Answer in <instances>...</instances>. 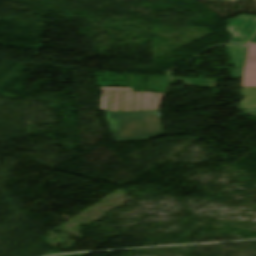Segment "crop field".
Listing matches in <instances>:
<instances>
[{"label":"crop field","instance_id":"8a807250","mask_svg":"<svg viewBox=\"0 0 256 256\" xmlns=\"http://www.w3.org/2000/svg\"><path fill=\"white\" fill-rule=\"evenodd\" d=\"M105 116L117 142L148 140L165 134L159 111L105 113Z\"/></svg>","mask_w":256,"mask_h":256},{"label":"crop field","instance_id":"ac0d7876","mask_svg":"<svg viewBox=\"0 0 256 256\" xmlns=\"http://www.w3.org/2000/svg\"><path fill=\"white\" fill-rule=\"evenodd\" d=\"M100 110L136 112L159 110L164 93L134 92L132 88L100 87ZM116 92V93H113Z\"/></svg>","mask_w":256,"mask_h":256},{"label":"crop field","instance_id":"34b2d1b8","mask_svg":"<svg viewBox=\"0 0 256 256\" xmlns=\"http://www.w3.org/2000/svg\"><path fill=\"white\" fill-rule=\"evenodd\" d=\"M227 30L233 36L229 40L232 45H244L249 37L256 31V16L241 15L227 22Z\"/></svg>","mask_w":256,"mask_h":256},{"label":"crop field","instance_id":"412701ff","mask_svg":"<svg viewBox=\"0 0 256 256\" xmlns=\"http://www.w3.org/2000/svg\"><path fill=\"white\" fill-rule=\"evenodd\" d=\"M242 87H256V44L250 43Z\"/></svg>","mask_w":256,"mask_h":256},{"label":"crop field","instance_id":"f4fd0767","mask_svg":"<svg viewBox=\"0 0 256 256\" xmlns=\"http://www.w3.org/2000/svg\"><path fill=\"white\" fill-rule=\"evenodd\" d=\"M226 48L236 68V70L232 71L230 75L234 78L241 79L246 48L234 46H226Z\"/></svg>","mask_w":256,"mask_h":256},{"label":"crop field","instance_id":"dd49c442","mask_svg":"<svg viewBox=\"0 0 256 256\" xmlns=\"http://www.w3.org/2000/svg\"><path fill=\"white\" fill-rule=\"evenodd\" d=\"M244 99L240 105L241 109L249 110L256 108V89H242Z\"/></svg>","mask_w":256,"mask_h":256},{"label":"crop field","instance_id":"e52e79f7","mask_svg":"<svg viewBox=\"0 0 256 256\" xmlns=\"http://www.w3.org/2000/svg\"><path fill=\"white\" fill-rule=\"evenodd\" d=\"M172 80H181L185 86L215 88L217 80L187 79L172 77Z\"/></svg>","mask_w":256,"mask_h":256},{"label":"crop field","instance_id":"d8731c3e","mask_svg":"<svg viewBox=\"0 0 256 256\" xmlns=\"http://www.w3.org/2000/svg\"><path fill=\"white\" fill-rule=\"evenodd\" d=\"M247 112H251V113L256 114V109H254V110H249V111H247Z\"/></svg>","mask_w":256,"mask_h":256},{"label":"crop field","instance_id":"5a996713","mask_svg":"<svg viewBox=\"0 0 256 256\" xmlns=\"http://www.w3.org/2000/svg\"><path fill=\"white\" fill-rule=\"evenodd\" d=\"M251 42L256 43V35H255L254 38L251 40Z\"/></svg>","mask_w":256,"mask_h":256}]
</instances>
